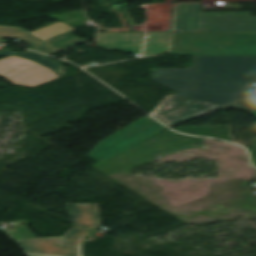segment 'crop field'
I'll list each match as a JSON object with an SVG mask.
<instances>
[{"label":"crop field","instance_id":"e52e79f7","mask_svg":"<svg viewBox=\"0 0 256 256\" xmlns=\"http://www.w3.org/2000/svg\"><path fill=\"white\" fill-rule=\"evenodd\" d=\"M0 71V75L11 82L24 86L32 85L30 87L57 79L50 70L15 56L0 60Z\"/></svg>","mask_w":256,"mask_h":256},{"label":"crop field","instance_id":"412701ff","mask_svg":"<svg viewBox=\"0 0 256 256\" xmlns=\"http://www.w3.org/2000/svg\"><path fill=\"white\" fill-rule=\"evenodd\" d=\"M201 4H179L175 31H256V17L241 12H200Z\"/></svg>","mask_w":256,"mask_h":256},{"label":"crop field","instance_id":"cbeb9de0","mask_svg":"<svg viewBox=\"0 0 256 256\" xmlns=\"http://www.w3.org/2000/svg\"><path fill=\"white\" fill-rule=\"evenodd\" d=\"M36 51H40V52H44V53H48V54H52L54 52H56L53 48H51L49 45L45 44L41 47H38L36 49H33Z\"/></svg>","mask_w":256,"mask_h":256},{"label":"crop field","instance_id":"f4fd0767","mask_svg":"<svg viewBox=\"0 0 256 256\" xmlns=\"http://www.w3.org/2000/svg\"><path fill=\"white\" fill-rule=\"evenodd\" d=\"M152 119L144 117L138 122L120 130L115 135L101 141L88 156L104 161L166 129L163 125Z\"/></svg>","mask_w":256,"mask_h":256},{"label":"crop field","instance_id":"d1516ede","mask_svg":"<svg viewBox=\"0 0 256 256\" xmlns=\"http://www.w3.org/2000/svg\"><path fill=\"white\" fill-rule=\"evenodd\" d=\"M16 56L36 61V62L54 70L55 72H57L59 74H64L63 66L60 63H57V62H54V61L48 59L47 56H44V55H41V54H38L35 52H31V51H26V52L18 54Z\"/></svg>","mask_w":256,"mask_h":256},{"label":"crop field","instance_id":"5142ce71","mask_svg":"<svg viewBox=\"0 0 256 256\" xmlns=\"http://www.w3.org/2000/svg\"><path fill=\"white\" fill-rule=\"evenodd\" d=\"M16 52H8V53H0V55H13L15 54Z\"/></svg>","mask_w":256,"mask_h":256},{"label":"crop field","instance_id":"22f410ed","mask_svg":"<svg viewBox=\"0 0 256 256\" xmlns=\"http://www.w3.org/2000/svg\"><path fill=\"white\" fill-rule=\"evenodd\" d=\"M120 8H121V10H122V12H123V14H124L128 24L129 25H135V22H134V20H133V18L131 16L127 6L126 5L125 6H121Z\"/></svg>","mask_w":256,"mask_h":256},{"label":"crop field","instance_id":"dd49c442","mask_svg":"<svg viewBox=\"0 0 256 256\" xmlns=\"http://www.w3.org/2000/svg\"><path fill=\"white\" fill-rule=\"evenodd\" d=\"M223 106L178 97H166L162 105L151 115L168 127L219 111Z\"/></svg>","mask_w":256,"mask_h":256},{"label":"crop field","instance_id":"8a807250","mask_svg":"<svg viewBox=\"0 0 256 256\" xmlns=\"http://www.w3.org/2000/svg\"><path fill=\"white\" fill-rule=\"evenodd\" d=\"M152 79L174 94L245 112L256 109V57H194L189 69H152Z\"/></svg>","mask_w":256,"mask_h":256},{"label":"crop field","instance_id":"3316defc","mask_svg":"<svg viewBox=\"0 0 256 256\" xmlns=\"http://www.w3.org/2000/svg\"><path fill=\"white\" fill-rule=\"evenodd\" d=\"M2 37H17L19 39H22V40L32 43L27 48H31V47H34L37 45L44 44L43 41L36 38L33 34H31L26 29H22V28H18V27L0 26V39Z\"/></svg>","mask_w":256,"mask_h":256},{"label":"crop field","instance_id":"d9b57169","mask_svg":"<svg viewBox=\"0 0 256 256\" xmlns=\"http://www.w3.org/2000/svg\"><path fill=\"white\" fill-rule=\"evenodd\" d=\"M83 205H98V204H83Z\"/></svg>","mask_w":256,"mask_h":256},{"label":"crop field","instance_id":"ac0d7876","mask_svg":"<svg viewBox=\"0 0 256 256\" xmlns=\"http://www.w3.org/2000/svg\"><path fill=\"white\" fill-rule=\"evenodd\" d=\"M170 56H256V33H173Z\"/></svg>","mask_w":256,"mask_h":256},{"label":"crop field","instance_id":"d8731c3e","mask_svg":"<svg viewBox=\"0 0 256 256\" xmlns=\"http://www.w3.org/2000/svg\"><path fill=\"white\" fill-rule=\"evenodd\" d=\"M144 33H99L96 46L109 47L140 55Z\"/></svg>","mask_w":256,"mask_h":256},{"label":"crop field","instance_id":"733c2abd","mask_svg":"<svg viewBox=\"0 0 256 256\" xmlns=\"http://www.w3.org/2000/svg\"><path fill=\"white\" fill-rule=\"evenodd\" d=\"M253 113H254V115H255V117H256V110H255V111H253Z\"/></svg>","mask_w":256,"mask_h":256},{"label":"crop field","instance_id":"28ad6ade","mask_svg":"<svg viewBox=\"0 0 256 256\" xmlns=\"http://www.w3.org/2000/svg\"><path fill=\"white\" fill-rule=\"evenodd\" d=\"M74 31H76V30H73V31H70V32H67V33H64V34H61V35H57V36L45 39V43H47L49 41H52V40H55V39H58V38H62V37L71 35L72 32H74ZM86 42H88L87 39L81 40L78 37L72 35V36H69L67 38H64V39L55 41L53 43H50L49 45L52 46L54 49H56L58 51H62V50H66V49L72 48L74 46L86 43Z\"/></svg>","mask_w":256,"mask_h":256},{"label":"crop field","instance_id":"34b2d1b8","mask_svg":"<svg viewBox=\"0 0 256 256\" xmlns=\"http://www.w3.org/2000/svg\"><path fill=\"white\" fill-rule=\"evenodd\" d=\"M69 218L74 222L63 237H42L17 240L29 253L81 256L80 243L89 229L101 226L98 206L67 204Z\"/></svg>","mask_w":256,"mask_h":256},{"label":"crop field","instance_id":"5a996713","mask_svg":"<svg viewBox=\"0 0 256 256\" xmlns=\"http://www.w3.org/2000/svg\"><path fill=\"white\" fill-rule=\"evenodd\" d=\"M170 33H148L143 56L165 53L168 51Z\"/></svg>","mask_w":256,"mask_h":256}]
</instances>
